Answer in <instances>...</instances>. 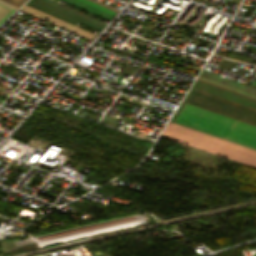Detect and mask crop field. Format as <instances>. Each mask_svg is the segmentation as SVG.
Instances as JSON below:
<instances>
[{"label": "crop field", "mask_w": 256, "mask_h": 256, "mask_svg": "<svg viewBox=\"0 0 256 256\" xmlns=\"http://www.w3.org/2000/svg\"><path fill=\"white\" fill-rule=\"evenodd\" d=\"M81 1L86 2V3L90 4V5H93V6L97 7V8H100V9H102V10H104L106 12H109L111 14H114V15L116 14V12H114L112 10H109V9L103 7V6H100V5L96 4V3H93V2H91L89 0H81Z\"/></svg>", "instance_id": "obj_6"}, {"label": "crop field", "mask_w": 256, "mask_h": 256, "mask_svg": "<svg viewBox=\"0 0 256 256\" xmlns=\"http://www.w3.org/2000/svg\"><path fill=\"white\" fill-rule=\"evenodd\" d=\"M197 80H200V81H203V82H206V83H209V84H212V85H215V86L227 89V90H231V91H234V92H237V93H240V94H243V95H246V96L256 99V94L246 92V91H243V90H240V89H237V88H234V87H231V86H228V85L216 82V81H212V80L200 77V76H198Z\"/></svg>", "instance_id": "obj_4"}, {"label": "crop field", "mask_w": 256, "mask_h": 256, "mask_svg": "<svg viewBox=\"0 0 256 256\" xmlns=\"http://www.w3.org/2000/svg\"><path fill=\"white\" fill-rule=\"evenodd\" d=\"M0 3L3 4V5H6V6L10 7V8H12V9H14V10L17 9V7H15V6H13V5L9 4V3H6V2H4L2 0H0Z\"/></svg>", "instance_id": "obj_7"}, {"label": "crop field", "mask_w": 256, "mask_h": 256, "mask_svg": "<svg viewBox=\"0 0 256 256\" xmlns=\"http://www.w3.org/2000/svg\"><path fill=\"white\" fill-rule=\"evenodd\" d=\"M161 137L256 168V151L168 122Z\"/></svg>", "instance_id": "obj_2"}, {"label": "crop field", "mask_w": 256, "mask_h": 256, "mask_svg": "<svg viewBox=\"0 0 256 256\" xmlns=\"http://www.w3.org/2000/svg\"><path fill=\"white\" fill-rule=\"evenodd\" d=\"M13 11L14 10L0 4V23L7 19V17L11 15Z\"/></svg>", "instance_id": "obj_5"}, {"label": "crop field", "mask_w": 256, "mask_h": 256, "mask_svg": "<svg viewBox=\"0 0 256 256\" xmlns=\"http://www.w3.org/2000/svg\"><path fill=\"white\" fill-rule=\"evenodd\" d=\"M174 123L256 149V126L187 103Z\"/></svg>", "instance_id": "obj_1"}, {"label": "crop field", "mask_w": 256, "mask_h": 256, "mask_svg": "<svg viewBox=\"0 0 256 256\" xmlns=\"http://www.w3.org/2000/svg\"><path fill=\"white\" fill-rule=\"evenodd\" d=\"M253 84H256V80L253 82Z\"/></svg>", "instance_id": "obj_8"}, {"label": "crop field", "mask_w": 256, "mask_h": 256, "mask_svg": "<svg viewBox=\"0 0 256 256\" xmlns=\"http://www.w3.org/2000/svg\"><path fill=\"white\" fill-rule=\"evenodd\" d=\"M20 10H22V11L28 13V14H31V15L37 17V18H40V19H42V20H44V21H47V22H49V23H51V24H53V25H56V26H58V27H61V28L66 29V30H68V31H71V32H73V33H75V34H78V35H80V36H83V37H85V38H88V39H90V40H92V39L95 37V35H93V34L87 32V31H85V30H82V29H80V28L74 27L75 25L72 26V25H70V24H67L68 22L65 23V22H63V21H60L61 19L58 20V19L53 18V17H51V16H49V15H47V14H44V13H42V12H40V11H37V10H35V9H33V8H30V7L26 6V5H24L23 7H21Z\"/></svg>", "instance_id": "obj_3"}]
</instances>
